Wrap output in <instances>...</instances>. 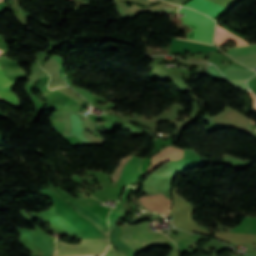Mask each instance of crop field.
<instances>
[{
	"instance_id": "crop-field-1",
	"label": "crop field",
	"mask_w": 256,
	"mask_h": 256,
	"mask_svg": "<svg viewBox=\"0 0 256 256\" xmlns=\"http://www.w3.org/2000/svg\"><path fill=\"white\" fill-rule=\"evenodd\" d=\"M179 12L186 14L183 19L190 24L191 28L194 29L193 33L190 34L189 39L213 44L212 37L215 22L212 19L185 7H181Z\"/></svg>"
},
{
	"instance_id": "crop-field-2",
	"label": "crop field",
	"mask_w": 256,
	"mask_h": 256,
	"mask_svg": "<svg viewBox=\"0 0 256 256\" xmlns=\"http://www.w3.org/2000/svg\"><path fill=\"white\" fill-rule=\"evenodd\" d=\"M108 239L81 240L78 244H68L59 240V248L55 256H81L104 254Z\"/></svg>"
},
{
	"instance_id": "crop-field-3",
	"label": "crop field",
	"mask_w": 256,
	"mask_h": 256,
	"mask_svg": "<svg viewBox=\"0 0 256 256\" xmlns=\"http://www.w3.org/2000/svg\"><path fill=\"white\" fill-rule=\"evenodd\" d=\"M230 39L236 41L237 46L240 45H247L248 43L243 40L242 38L232 34L225 28L217 25L216 32H215V41L219 47V45H224V43ZM228 52L226 54L230 56H238V55H249L256 53V46L255 45H248V46H241V47H234V48H227Z\"/></svg>"
},
{
	"instance_id": "crop-field-4",
	"label": "crop field",
	"mask_w": 256,
	"mask_h": 256,
	"mask_svg": "<svg viewBox=\"0 0 256 256\" xmlns=\"http://www.w3.org/2000/svg\"><path fill=\"white\" fill-rule=\"evenodd\" d=\"M139 199L146 208L167 216L169 212L170 199L164 194H153L140 197Z\"/></svg>"
},
{
	"instance_id": "crop-field-5",
	"label": "crop field",
	"mask_w": 256,
	"mask_h": 256,
	"mask_svg": "<svg viewBox=\"0 0 256 256\" xmlns=\"http://www.w3.org/2000/svg\"><path fill=\"white\" fill-rule=\"evenodd\" d=\"M181 158H183V151L170 145V146L164 148L163 150L159 151L154 156H152V158H151L152 163H151L150 167L148 168L147 172L149 173L155 167L169 161L170 159L177 160V159H181Z\"/></svg>"
},
{
	"instance_id": "crop-field-6",
	"label": "crop field",
	"mask_w": 256,
	"mask_h": 256,
	"mask_svg": "<svg viewBox=\"0 0 256 256\" xmlns=\"http://www.w3.org/2000/svg\"><path fill=\"white\" fill-rule=\"evenodd\" d=\"M184 6L191 7L195 10L201 11L212 18L216 17L219 13H221L225 8L215 5L206 0H191L186 3Z\"/></svg>"
},
{
	"instance_id": "crop-field-7",
	"label": "crop field",
	"mask_w": 256,
	"mask_h": 256,
	"mask_svg": "<svg viewBox=\"0 0 256 256\" xmlns=\"http://www.w3.org/2000/svg\"><path fill=\"white\" fill-rule=\"evenodd\" d=\"M24 236L38 245L42 249L44 256H50L52 254L51 244L45 234L39 231L29 230L24 233Z\"/></svg>"
},
{
	"instance_id": "crop-field-8",
	"label": "crop field",
	"mask_w": 256,
	"mask_h": 256,
	"mask_svg": "<svg viewBox=\"0 0 256 256\" xmlns=\"http://www.w3.org/2000/svg\"><path fill=\"white\" fill-rule=\"evenodd\" d=\"M12 84H14V81L8 79L0 68V99L9 104L18 103L16 96L10 91Z\"/></svg>"
},
{
	"instance_id": "crop-field-9",
	"label": "crop field",
	"mask_w": 256,
	"mask_h": 256,
	"mask_svg": "<svg viewBox=\"0 0 256 256\" xmlns=\"http://www.w3.org/2000/svg\"><path fill=\"white\" fill-rule=\"evenodd\" d=\"M43 68L51 75L52 80L49 84V88L53 89L56 86H68L61 78L59 74V64L53 60H49L45 63Z\"/></svg>"
},
{
	"instance_id": "crop-field-10",
	"label": "crop field",
	"mask_w": 256,
	"mask_h": 256,
	"mask_svg": "<svg viewBox=\"0 0 256 256\" xmlns=\"http://www.w3.org/2000/svg\"><path fill=\"white\" fill-rule=\"evenodd\" d=\"M74 206L77 212L81 213L82 215L90 218L95 225L100 228L106 235H108V226L107 221L99 218L98 216L94 215L93 213L87 211L83 206L77 203L74 199H68Z\"/></svg>"
},
{
	"instance_id": "crop-field-11",
	"label": "crop field",
	"mask_w": 256,
	"mask_h": 256,
	"mask_svg": "<svg viewBox=\"0 0 256 256\" xmlns=\"http://www.w3.org/2000/svg\"><path fill=\"white\" fill-rule=\"evenodd\" d=\"M121 231L118 227H115L110 235V242L114 244V246L125 253L126 256H136V253L125 243L122 242L120 236Z\"/></svg>"
},
{
	"instance_id": "crop-field-12",
	"label": "crop field",
	"mask_w": 256,
	"mask_h": 256,
	"mask_svg": "<svg viewBox=\"0 0 256 256\" xmlns=\"http://www.w3.org/2000/svg\"><path fill=\"white\" fill-rule=\"evenodd\" d=\"M124 214L123 208H113L108 215L109 230L111 232L112 228L115 226V219L119 218Z\"/></svg>"
},
{
	"instance_id": "crop-field-13",
	"label": "crop field",
	"mask_w": 256,
	"mask_h": 256,
	"mask_svg": "<svg viewBox=\"0 0 256 256\" xmlns=\"http://www.w3.org/2000/svg\"><path fill=\"white\" fill-rule=\"evenodd\" d=\"M109 248L111 249V251H113V252H115V253H118V254H120L121 256H123L121 253H119V252H117V251H114L111 246H110ZM109 248H108L107 253H106L104 256H119V255H117V254H115V253H112Z\"/></svg>"
},
{
	"instance_id": "crop-field-14",
	"label": "crop field",
	"mask_w": 256,
	"mask_h": 256,
	"mask_svg": "<svg viewBox=\"0 0 256 256\" xmlns=\"http://www.w3.org/2000/svg\"><path fill=\"white\" fill-rule=\"evenodd\" d=\"M249 92V91H248ZM249 94L253 97V99H254V103H253V109H256V96L253 94V93H251V92H249Z\"/></svg>"
},
{
	"instance_id": "crop-field-15",
	"label": "crop field",
	"mask_w": 256,
	"mask_h": 256,
	"mask_svg": "<svg viewBox=\"0 0 256 256\" xmlns=\"http://www.w3.org/2000/svg\"><path fill=\"white\" fill-rule=\"evenodd\" d=\"M79 114V113H78Z\"/></svg>"
}]
</instances>
